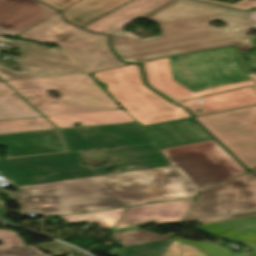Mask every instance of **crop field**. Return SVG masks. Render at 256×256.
Masks as SVG:
<instances>
[{"instance_id": "6", "label": "crop field", "mask_w": 256, "mask_h": 256, "mask_svg": "<svg viewBox=\"0 0 256 256\" xmlns=\"http://www.w3.org/2000/svg\"><path fill=\"white\" fill-rule=\"evenodd\" d=\"M197 191L188 183H177L104 194L74 197L21 205V215L42 216L97 211L128 205L195 197Z\"/></svg>"}, {"instance_id": "9", "label": "crop field", "mask_w": 256, "mask_h": 256, "mask_svg": "<svg viewBox=\"0 0 256 256\" xmlns=\"http://www.w3.org/2000/svg\"><path fill=\"white\" fill-rule=\"evenodd\" d=\"M196 118L246 167L256 168V106Z\"/></svg>"}, {"instance_id": "21", "label": "crop field", "mask_w": 256, "mask_h": 256, "mask_svg": "<svg viewBox=\"0 0 256 256\" xmlns=\"http://www.w3.org/2000/svg\"><path fill=\"white\" fill-rule=\"evenodd\" d=\"M59 128L74 127L73 123L81 122V126L135 121L123 110L92 112L72 115L47 117Z\"/></svg>"}, {"instance_id": "24", "label": "crop field", "mask_w": 256, "mask_h": 256, "mask_svg": "<svg viewBox=\"0 0 256 256\" xmlns=\"http://www.w3.org/2000/svg\"><path fill=\"white\" fill-rule=\"evenodd\" d=\"M56 128L44 117L0 121V134Z\"/></svg>"}, {"instance_id": "13", "label": "crop field", "mask_w": 256, "mask_h": 256, "mask_svg": "<svg viewBox=\"0 0 256 256\" xmlns=\"http://www.w3.org/2000/svg\"><path fill=\"white\" fill-rule=\"evenodd\" d=\"M56 12L36 0H0V35L19 34Z\"/></svg>"}, {"instance_id": "37", "label": "crop field", "mask_w": 256, "mask_h": 256, "mask_svg": "<svg viewBox=\"0 0 256 256\" xmlns=\"http://www.w3.org/2000/svg\"><path fill=\"white\" fill-rule=\"evenodd\" d=\"M12 89L7 86L4 82H0V92L1 91H11Z\"/></svg>"}, {"instance_id": "28", "label": "crop field", "mask_w": 256, "mask_h": 256, "mask_svg": "<svg viewBox=\"0 0 256 256\" xmlns=\"http://www.w3.org/2000/svg\"><path fill=\"white\" fill-rule=\"evenodd\" d=\"M173 239L195 244V245L199 246L201 249H203L210 256H231L234 254V253L230 252L229 250L223 248L222 246L214 244V243H210V242L196 243V242H192V241H188V240H184V239H180V238H176V237H173Z\"/></svg>"}, {"instance_id": "5", "label": "crop field", "mask_w": 256, "mask_h": 256, "mask_svg": "<svg viewBox=\"0 0 256 256\" xmlns=\"http://www.w3.org/2000/svg\"><path fill=\"white\" fill-rule=\"evenodd\" d=\"M117 102L141 124H152L191 116L145 86L139 65L95 72Z\"/></svg>"}, {"instance_id": "8", "label": "crop field", "mask_w": 256, "mask_h": 256, "mask_svg": "<svg viewBox=\"0 0 256 256\" xmlns=\"http://www.w3.org/2000/svg\"><path fill=\"white\" fill-rule=\"evenodd\" d=\"M161 151L199 191L246 172L215 140Z\"/></svg>"}, {"instance_id": "42", "label": "crop field", "mask_w": 256, "mask_h": 256, "mask_svg": "<svg viewBox=\"0 0 256 256\" xmlns=\"http://www.w3.org/2000/svg\"><path fill=\"white\" fill-rule=\"evenodd\" d=\"M69 256H73V255L71 254V255H69Z\"/></svg>"}, {"instance_id": "15", "label": "crop field", "mask_w": 256, "mask_h": 256, "mask_svg": "<svg viewBox=\"0 0 256 256\" xmlns=\"http://www.w3.org/2000/svg\"><path fill=\"white\" fill-rule=\"evenodd\" d=\"M160 149L196 143L213 138L193 118L144 127Z\"/></svg>"}, {"instance_id": "16", "label": "crop field", "mask_w": 256, "mask_h": 256, "mask_svg": "<svg viewBox=\"0 0 256 256\" xmlns=\"http://www.w3.org/2000/svg\"><path fill=\"white\" fill-rule=\"evenodd\" d=\"M194 199L160 203L128 208L123 219L115 227L145 224L154 221L158 224L182 221Z\"/></svg>"}, {"instance_id": "3", "label": "crop field", "mask_w": 256, "mask_h": 256, "mask_svg": "<svg viewBox=\"0 0 256 256\" xmlns=\"http://www.w3.org/2000/svg\"><path fill=\"white\" fill-rule=\"evenodd\" d=\"M146 83L174 103L245 86L256 89L235 46L153 60L143 65Z\"/></svg>"}, {"instance_id": "31", "label": "crop field", "mask_w": 256, "mask_h": 256, "mask_svg": "<svg viewBox=\"0 0 256 256\" xmlns=\"http://www.w3.org/2000/svg\"><path fill=\"white\" fill-rule=\"evenodd\" d=\"M200 1H205V2H209V3L219 4V5L233 7V8L242 9V10H248V9L256 6V1H249V0H243L235 5L220 2V1H215V0H200Z\"/></svg>"}, {"instance_id": "35", "label": "crop field", "mask_w": 256, "mask_h": 256, "mask_svg": "<svg viewBox=\"0 0 256 256\" xmlns=\"http://www.w3.org/2000/svg\"><path fill=\"white\" fill-rule=\"evenodd\" d=\"M0 40L7 41L8 44L13 45V46H19V47H20L19 52L21 51V48H22L23 43H24V42H19V41L5 40V39H3V38H1V37H0Z\"/></svg>"}, {"instance_id": "22", "label": "crop field", "mask_w": 256, "mask_h": 256, "mask_svg": "<svg viewBox=\"0 0 256 256\" xmlns=\"http://www.w3.org/2000/svg\"><path fill=\"white\" fill-rule=\"evenodd\" d=\"M42 116L15 92L0 94V120Z\"/></svg>"}, {"instance_id": "17", "label": "crop field", "mask_w": 256, "mask_h": 256, "mask_svg": "<svg viewBox=\"0 0 256 256\" xmlns=\"http://www.w3.org/2000/svg\"><path fill=\"white\" fill-rule=\"evenodd\" d=\"M57 9L69 22L84 26L131 0H41Z\"/></svg>"}, {"instance_id": "4", "label": "crop field", "mask_w": 256, "mask_h": 256, "mask_svg": "<svg viewBox=\"0 0 256 256\" xmlns=\"http://www.w3.org/2000/svg\"><path fill=\"white\" fill-rule=\"evenodd\" d=\"M45 116L119 109L89 74L6 82ZM59 91L56 99L46 92Z\"/></svg>"}, {"instance_id": "43", "label": "crop field", "mask_w": 256, "mask_h": 256, "mask_svg": "<svg viewBox=\"0 0 256 256\" xmlns=\"http://www.w3.org/2000/svg\"><path fill=\"white\" fill-rule=\"evenodd\" d=\"M5 51H8V50H5Z\"/></svg>"}, {"instance_id": "40", "label": "crop field", "mask_w": 256, "mask_h": 256, "mask_svg": "<svg viewBox=\"0 0 256 256\" xmlns=\"http://www.w3.org/2000/svg\"><path fill=\"white\" fill-rule=\"evenodd\" d=\"M235 256H247V255H245V254H241V255H235Z\"/></svg>"}, {"instance_id": "11", "label": "crop field", "mask_w": 256, "mask_h": 256, "mask_svg": "<svg viewBox=\"0 0 256 256\" xmlns=\"http://www.w3.org/2000/svg\"><path fill=\"white\" fill-rule=\"evenodd\" d=\"M6 56L16 61L25 72L18 73L0 66V77L4 81L86 73L61 48L48 49L25 42L20 57Z\"/></svg>"}, {"instance_id": "19", "label": "crop field", "mask_w": 256, "mask_h": 256, "mask_svg": "<svg viewBox=\"0 0 256 256\" xmlns=\"http://www.w3.org/2000/svg\"><path fill=\"white\" fill-rule=\"evenodd\" d=\"M198 100H202L204 102L196 104L195 101ZM177 104L187 108L194 115L223 111L256 105V90L252 87H245L223 93L204 96ZM199 109L202 110L201 113H197L195 111Z\"/></svg>"}, {"instance_id": "2", "label": "crop field", "mask_w": 256, "mask_h": 256, "mask_svg": "<svg viewBox=\"0 0 256 256\" xmlns=\"http://www.w3.org/2000/svg\"><path fill=\"white\" fill-rule=\"evenodd\" d=\"M144 18L159 21L162 36L140 40L122 29L112 34V47L124 62L250 41L246 33L253 27L244 11L191 0H176ZM213 20L228 26L212 28L207 22Z\"/></svg>"}, {"instance_id": "27", "label": "crop field", "mask_w": 256, "mask_h": 256, "mask_svg": "<svg viewBox=\"0 0 256 256\" xmlns=\"http://www.w3.org/2000/svg\"><path fill=\"white\" fill-rule=\"evenodd\" d=\"M164 256H209L200 248L172 240Z\"/></svg>"}, {"instance_id": "10", "label": "crop field", "mask_w": 256, "mask_h": 256, "mask_svg": "<svg viewBox=\"0 0 256 256\" xmlns=\"http://www.w3.org/2000/svg\"><path fill=\"white\" fill-rule=\"evenodd\" d=\"M256 209V177L246 173L199 193L184 221Z\"/></svg>"}, {"instance_id": "23", "label": "crop field", "mask_w": 256, "mask_h": 256, "mask_svg": "<svg viewBox=\"0 0 256 256\" xmlns=\"http://www.w3.org/2000/svg\"><path fill=\"white\" fill-rule=\"evenodd\" d=\"M124 209L100 211V212H91L76 214L70 216H63L60 219L65 220L66 224L79 223L88 221L89 224L98 223L102 228H113L120 217L125 212ZM64 225V224H63Z\"/></svg>"}, {"instance_id": "39", "label": "crop field", "mask_w": 256, "mask_h": 256, "mask_svg": "<svg viewBox=\"0 0 256 256\" xmlns=\"http://www.w3.org/2000/svg\"><path fill=\"white\" fill-rule=\"evenodd\" d=\"M2 208H3L4 210H3V211L0 210V218L3 219V220H5L4 217L6 216L5 214H6L7 211L5 210V207H2ZM0 209H1V208H0ZM5 221H7V220H5Z\"/></svg>"}, {"instance_id": "29", "label": "crop field", "mask_w": 256, "mask_h": 256, "mask_svg": "<svg viewBox=\"0 0 256 256\" xmlns=\"http://www.w3.org/2000/svg\"><path fill=\"white\" fill-rule=\"evenodd\" d=\"M0 240L3 241L0 250L26 246L19 235L13 231L0 230Z\"/></svg>"}, {"instance_id": "25", "label": "crop field", "mask_w": 256, "mask_h": 256, "mask_svg": "<svg viewBox=\"0 0 256 256\" xmlns=\"http://www.w3.org/2000/svg\"><path fill=\"white\" fill-rule=\"evenodd\" d=\"M171 239L123 247L119 256H163Z\"/></svg>"}, {"instance_id": "30", "label": "crop field", "mask_w": 256, "mask_h": 256, "mask_svg": "<svg viewBox=\"0 0 256 256\" xmlns=\"http://www.w3.org/2000/svg\"><path fill=\"white\" fill-rule=\"evenodd\" d=\"M42 252L32 246L0 251V256H42ZM43 256H46L43 255Z\"/></svg>"}, {"instance_id": "14", "label": "crop field", "mask_w": 256, "mask_h": 256, "mask_svg": "<svg viewBox=\"0 0 256 256\" xmlns=\"http://www.w3.org/2000/svg\"><path fill=\"white\" fill-rule=\"evenodd\" d=\"M7 157L66 151L58 130L0 135Z\"/></svg>"}, {"instance_id": "1", "label": "crop field", "mask_w": 256, "mask_h": 256, "mask_svg": "<svg viewBox=\"0 0 256 256\" xmlns=\"http://www.w3.org/2000/svg\"><path fill=\"white\" fill-rule=\"evenodd\" d=\"M103 151L124 162L82 167L83 152L0 160V172L22 191L6 192L23 204L186 181L155 145ZM109 167L119 170L106 173Z\"/></svg>"}, {"instance_id": "7", "label": "crop field", "mask_w": 256, "mask_h": 256, "mask_svg": "<svg viewBox=\"0 0 256 256\" xmlns=\"http://www.w3.org/2000/svg\"><path fill=\"white\" fill-rule=\"evenodd\" d=\"M22 38L59 44L87 73L124 65L108 47V37L62 20L60 14L20 34Z\"/></svg>"}, {"instance_id": "12", "label": "crop field", "mask_w": 256, "mask_h": 256, "mask_svg": "<svg viewBox=\"0 0 256 256\" xmlns=\"http://www.w3.org/2000/svg\"><path fill=\"white\" fill-rule=\"evenodd\" d=\"M60 131L69 152L154 144L138 123Z\"/></svg>"}, {"instance_id": "33", "label": "crop field", "mask_w": 256, "mask_h": 256, "mask_svg": "<svg viewBox=\"0 0 256 256\" xmlns=\"http://www.w3.org/2000/svg\"><path fill=\"white\" fill-rule=\"evenodd\" d=\"M236 45H237V47H238V49L240 50L241 53L246 52L250 48H255L252 43H249L247 41L240 42Z\"/></svg>"}, {"instance_id": "18", "label": "crop field", "mask_w": 256, "mask_h": 256, "mask_svg": "<svg viewBox=\"0 0 256 256\" xmlns=\"http://www.w3.org/2000/svg\"><path fill=\"white\" fill-rule=\"evenodd\" d=\"M173 0H135L85 28L110 35Z\"/></svg>"}, {"instance_id": "41", "label": "crop field", "mask_w": 256, "mask_h": 256, "mask_svg": "<svg viewBox=\"0 0 256 256\" xmlns=\"http://www.w3.org/2000/svg\"><path fill=\"white\" fill-rule=\"evenodd\" d=\"M252 172H254L256 174V169L252 170Z\"/></svg>"}, {"instance_id": "32", "label": "crop field", "mask_w": 256, "mask_h": 256, "mask_svg": "<svg viewBox=\"0 0 256 256\" xmlns=\"http://www.w3.org/2000/svg\"><path fill=\"white\" fill-rule=\"evenodd\" d=\"M254 215H256V211L249 212V213H243V214H237V215H231V216H225V217H219V218H213V219H207V220H201V221H197V222H199L201 224H205V223L224 221V220H230V219H236V218H242V217H248V216H254Z\"/></svg>"}, {"instance_id": "38", "label": "crop field", "mask_w": 256, "mask_h": 256, "mask_svg": "<svg viewBox=\"0 0 256 256\" xmlns=\"http://www.w3.org/2000/svg\"><path fill=\"white\" fill-rule=\"evenodd\" d=\"M131 229H138V226L115 229V230H112V232L115 233V232H119V231L131 230Z\"/></svg>"}, {"instance_id": "34", "label": "crop field", "mask_w": 256, "mask_h": 256, "mask_svg": "<svg viewBox=\"0 0 256 256\" xmlns=\"http://www.w3.org/2000/svg\"><path fill=\"white\" fill-rule=\"evenodd\" d=\"M243 57L250 59L251 61L248 64V66L255 67L256 68V51L253 54H242Z\"/></svg>"}, {"instance_id": "20", "label": "crop field", "mask_w": 256, "mask_h": 256, "mask_svg": "<svg viewBox=\"0 0 256 256\" xmlns=\"http://www.w3.org/2000/svg\"><path fill=\"white\" fill-rule=\"evenodd\" d=\"M199 230L229 241H235L252 249L249 255L256 256V217L206 225Z\"/></svg>"}, {"instance_id": "36", "label": "crop field", "mask_w": 256, "mask_h": 256, "mask_svg": "<svg viewBox=\"0 0 256 256\" xmlns=\"http://www.w3.org/2000/svg\"><path fill=\"white\" fill-rule=\"evenodd\" d=\"M253 26L256 28V12H247Z\"/></svg>"}, {"instance_id": "26", "label": "crop field", "mask_w": 256, "mask_h": 256, "mask_svg": "<svg viewBox=\"0 0 256 256\" xmlns=\"http://www.w3.org/2000/svg\"><path fill=\"white\" fill-rule=\"evenodd\" d=\"M173 235L174 234H166V235L159 236L157 234L144 231L142 229L119 232V233L113 234V236L116 239H120L123 242L122 246L172 238Z\"/></svg>"}]
</instances>
